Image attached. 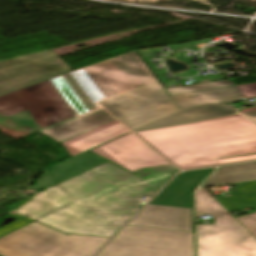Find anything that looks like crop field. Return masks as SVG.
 Returning <instances> with one entry per match:
<instances>
[{
    "label": "crop field",
    "mask_w": 256,
    "mask_h": 256,
    "mask_svg": "<svg viewBox=\"0 0 256 256\" xmlns=\"http://www.w3.org/2000/svg\"><path fill=\"white\" fill-rule=\"evenodd\" d=\"M179 169L163 166L134 174L107 161L42 192L16 213L65 234L111 237Z\"/></svg>",
    "instance_id": "1"
},
{
    "label": "crop field",
    "mask_w": 256,
    "mask_h": 256,
    "mask_svg": "<svg viewBox=\"0 0 256 256\" xmlns=\"http://www.w3.org/2000/svg\"><path fill=\"white\" fill-rule=\"evenodd\" d=\"M173 165L197 167L256 160V126L239 115L136 132Z\"/></svg>",
    "instance_id": "2"
},
{
    "label": "crop field",
    "mask_w": 256,
    "mask_h": 256,
    "mask_svg": "<svg viewBox=\"0 0 256 256\" xmlns=\"http://www.w3.org/2000/svg\"><path fill=\"white\" fill-rule=\"evenodd\" d=\"M242 98L236 86L168 96L157 83L98 104L138 131L232 114L236 110L223 102Z\"/></svg>",
    "instance_id": "3"
},
{
    "label": "crop field",
    "mask_w": 256,
    "mask_h": 256,
    "mask_svg": "<svg viewBox=\"0 0 256 256\" xmlns=\"http://www.w3.org/2000/svg\"><path fill=\"white\" fill-rule=\"evenodd\" d=\"M50 81L76 116L100 107L98 101L157 82L135 51Z\"/></svg>",
    "instance_id": "4"
},
{
    "label": "crop field",
    "mask_w": 256,
    "mask_h": 256,
    "mask_svg": "<svg viewBox=\"0 0 256 256\" xmlns=\"http://www.w3.org/2000/svg\"><path fill=\"white\" fill-rule=\"evenodd\" d=\"M196 210L215 221L197 226L198 256H256V239L206 190H196Z\"/></svg>",
    "instance_id": "5"
},
{
    "label": "crop field",
    "mask_w": 256,
    "mask_h": 256,
    "mask_svg": "<svg viewBox=\"0 0 256 256\" xmlns=\"http://www.w3.org/2000/svg\"><path fill=\"white\" fill-rule=\"evenodd\" d=\"M108 239L65 235L35 222L0 238V256H93Z\"/></svg>",
    "instance_id": "6"
},
{
    "label": "crop field",
    "mask_w": 256,
    "mask_h": 256,
    "mask_svg": "<svg viewBox=\"0 0 256 256\" xmlns=\"http://www.w3.org/2000/svg\"><path fill=\"white\" fill-rule=\"evenodd\" d=\"M97 256H194L193 233L126 226Z\"/></svg>",
    "instance_id": "7"
},
{
    "label": "crop field",
    "mask_w": 256,
    "mask_h": 256,
    "mask_svg": "<svg viewBox=\"0 0 256 256\" xmlns=\"http://www.w3.org/2000/svg\"><path fill=\"white\" fill-rule=\"evenodd\" d=\"M91 151L130 172L142 167L169 164L132 133L111 140Z\"/></svg>",
    "instance_id": "8"
},
{
    "label": "crop field",
    "mask_w": 256,
    "mask_h": 256,
    "mask_svg": "<svg viewBox=\"0 0 256 256\" xmlns=\"http://www.w3.org/2000/svg\"><path fill=\"white\" fill-rule=\"evenodd\" d=\"M72 71L61 59L0 74V95Z\"/></svg>",
    "instance_id": "9"
},
{
    "label": "crop field",
    "mask_w": 256,
    "mask_h": 256,
    "mask_svg": "<svg viewBox=\"0 0 256 256\" xmlns=\"http://www.w3.org/2000/svg\"><path fill=\"white\" fill-rule=\"evenodd\" d=\"M128 225L192 232V209L148 205Z\"/></svg>",
    "instance_id": "10"
},
{
    "label": "crop field",
    "mask_w": 256,
    "mask_h": 256,
    "mask_svg": "<svg viewBox=\"0 0 256 256\" xmlns=\"http://www.w3.org/2000/svg\"><path fill=\"white\" fill-rule=\"evenodd\" d=\"M44 83L55 108L48 111L42 107H22L15 115H13L23 124L39 129L75 117L74 113L50 81L47 80Z\"/></svg>",
    "instance_id": "11"
},
{
    "label": "crop field",
    "mask_w": 256,
    "mask_h": 256,
    "mask_svg": "<svg viewBox=\"0 0 256 256\" xmlns=\"http://www.w3.org/2000/svg\"><path fill=\"white\" fill-rule=\"evenodd\" d=\"M211 170L201 169L175 176L150 204L192 208L191 191Z\"/></svg>",
    "instance_id": "12"
},
{
    "label": "crop field",
    "mask_w": 256,
    "mask_h": 256,
    "mask_svg": "<svg viewBox=\"0 0 256 256\" xmlns=\"http://www.w3.org/2000/svg\"><path fill=\"white\" fill-rule=\"evenodd\" d=\"M22 106H42L48 110L54 107L43 82L0 96V114L12 118L20 125L23 124L12 115Z\"/></svg>",
    "instance_id": "13"
},
{
    "label": "crop field",
    "mask_w": 256,
    "mask_h": 256,
    "mask_svg": "<svg viewBox=\"0 0 256 256\" xmlns=\"http://www.w3.org/2000/svg\"><path fill=\"white\" fill-rule=\"evenodd\" d=\"M229 212L256 208V181L245 182L232 189V195L215 197ZM256 237V211L236 217Z\"/></svg>",
    "instance_id": "14"
},
{
    "label": "crop field",
    "mask_w": 256,
    "mask_h": 256,
    "mask_svg": "<svg viewBox=\"0 0 256 256\" xmlns=\"http://www.w3.org/2000/svg\"><path fill=\"white\" fill-rule=\"evenodd\" d=\"M111 120H113V117L110 114H108L104 109H99L80 118L75 117L68 121L40 130V132L60 143L61 141L88 131Z\"/></svg>",
    "instance_id": "15"
},
{
    "label": "crop field",
    "mask_w": 256,
    "mask_h": 256,
    "mask_svg": "<svg viewBox=\"0 0 256 256\" xmlns=\"http://www.w3.org/2000/svg\"><path fill=\"white\" fill-rule=\"evenodd\" d=\"M129 132L118 121L113 120L88 132L62 142L71 157L95 147L103 142Z\"/></svg>",
    "instance_id": "16"
},
{
    "label": "crop field",
    "mask_w": 256,
    "mask_h": 256,
    "mask_svg": "<svg viewBox=\"0 0 256 256\" xmlns=\"http://www.w3.org/2000/svg\"><path fill=\"white\" fill-rule=\"evenodd\" d=\"M256 180V162L220 167L201 187Z\"/></svg>",
    "instance_id": "17"
},
{
    "label": "crop field",
    "mask_w": 256,
    "mask_h": 256,
    "mask_svg": "<svg viewBox=\"0 0 256 256\" xmlns=\"http://www.w3.org/2000/svg\"><path fill=\"white\" fill-rule=\"evenodd\" d=\"M85 153V152H84ZM106 159L89 151L53 167L52 173L58 182L96 166Z\"/></svg>",
    "instance_id": "18"
},
{
    "label": "crop field",
    "mask_w": 256,
    "mask_h": 256,
    "mask_svg": "<svg viewBox=\"0 0 256 256\" xmlns=\"http://www.w3.org/2000/svg\"><path fill=\"white\" fill-rule=\"evenodd\" d=\"M58 58L59 57L51 50H44L7 60H2L0 61V73Z\"/></svg>",
    "instance_id": "19"
},
{
    "label": "crop field",
    "mask_w": 256,
    "mask_h": 256,
    "mask_svg": "<svg viewBox=\"0 0 256 256\" xmlns=\"http://www.w3.org/2000/svg\"><path fill=\"white\" fill-rule=\"evenodd\" d=\"M35 195L36 194L30 196L29 199H26V200H24V201H22V202H20V203H18L16 205L12 206L11 208H9V210L7 212V215L12 216V217H16L18 219L15 220L12 223H9V224L1 227L0 228V237L4 236V235H6V234H8V233H10V232L20 228V227H22V226H24V225H26V224H28L30 222H33L32 220H29V219H26L24 217L19 216L18 214L15 213V211L19 207L24 205L25 203L29 202L31 199H33Z\"/></svg>",
    "instance_id": "20"
},
{
    "label": "crop field",
    "mask_w": 256,
    "mask_h": 256,
    "mask_svg": "<svg viewBox=\"0 0 256 256\" xmlns=\"http://www.w3.org/2000/svg\"><path fill=\"white\" fill-rule=\"evenodd\" d=\"M235 85L231 79L166 89L169 95Z\"/></svg>",
    "instance_id": "21"
},
{
    "label": "crop field",
    "mask_w": 256,
    "mask_h": 256,
    "mask_svg": "<svg viewBox=\"0 0 256 256\" xmlns=\"http://www.w3.org/2000/svg\"><path fill=\"white\" fill-rule=\"evenodd\" d=\"M247 99L256 97V83L237 85Z\"/></svg>",
    "instance_id": "22"
},
{
    "label": "crop field",
    "mask_w": 256,
    "mask_h": 256,
    "mask_svg": "<svg viewBox=\"0 0 256 256\" xmlns=\"http://www.w3.org/2000/svg\"><path fill=\"white\" fill-rule=\"evenodd\" d=\"M43 172L45 173L46 177L39 179L38 184L40 187H32L30 189H34V188H44L47 187L53 183H55V180L53 179V177L51 176V174L49 173V171L43 170Z\"/></svg>",
    "instance_id": "23"
},
{
    "label": "crop field",
    "mask_w": 256,
    "mask_h": 256,
    "mask_svg": "<svg viewBox=\"0 0 256 256\" xmlns=\"http://www.w3.org/2000/svg\"><path fill=\"white\" fill-rule=\"evenodd\" d=\"M246 117H248L250 120H252L254 123H256V111L243 113Z\"/></svg>",
    "instance_id": "24"
},
{
    "label": "crop field",
    "mask_w": 256,
    "mask_h": 256,
    "mask_svg": "<svg viewBox=\"0 0 256 256\" xmlns=\"http://www.w3.org/2000/svg\"><path fill=\"white\" fill-rule=\"evenodd\" d=\"M252 110H256V107H250V108H246L244 110H240V113L247 112V111H252Z\"/></svg>",
    "instance_id": "25"
},
{
    "label": "crop field",
    "mask_w": 256,
    "mask_h": 256,
    "mask_svg": "<svg viewBox=\"0 0 256 256\" xmlns=\"http://www.w3.org/2000/svg\"><path fill=\"white\" fill-rule=\"evenodd\" d=\"M39 190H41V189H34V190H29V191H32V192H37V191H39Z\"/></svg>",
    "instance_id": "26"
}]
</instances>
